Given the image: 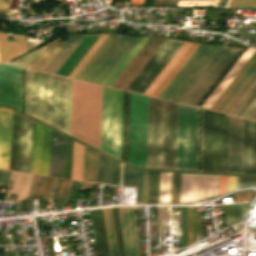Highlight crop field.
<instances>
[{"instance_id":"64","label":"crop field","mask_w":256,"mask_h":256,"mask_svg":"<svg viewBox=\"0 0 256 256\" xmlns=\"http://www.w3.org/2000/svg\"><path fill=\"white\" fill-rule=\"evenodd\" d=\"M252 44H255V45H256V39L253 40Z\"/></svg>"},{"instance_id":"18","label":"crop field","mask_w":256,"mask_h":256,"mask_svg":"<svg viewBox=\"0 0 256 256\" xmlns=\"http://www.w3.org/2000/svg\"><path fill=\"white\" fill-rule=\"evenodd\" d=\"M242 119L229 116L228 173H241Z\"/></svg>"},{"instance_id":"61","label":"crop field","mask_w":256,"mask_h":256,"mask_svg":"<svg viewBox=\"0 0 256 256\" xmlns=\"http://www.w3.org/2000/svg\"><path fill=\"white\" fill-rule=\"evenodd\" d=\"M228 0H220L217 6L225 7Z\"/></svg>"},{"instance_id":"28","label":"crop field","mask_w":256,"mask_h":256,"mask_svg":"<svg viewBox=\"0 0 256 256\" xmlns=\"http://www.w3.org/2000/svg\"><path fill=\"white\" fill-rule=\"evenodd\" d=\"M249 203L225 204L224 216L226 227L241 221V214H245Z\"/></svg>"},{"instance_id":"23","label":"crop field","mask_w":256,"mask_h":256,"mask_svg":"<svg viewBox=\"0 0 256 256\" xmlns=\"http://www.w3.org/2000/svg\"><path fill=\"white\" fill-rule=\"evenodd\" d=\"M99 36L100 35L85 36L56 73L68 76Z\"/></svg>"},{"instance_id":"21","label":"crop field","mask_w":256,"mask_h":256,"mask_svg":"<svg viewBox=\"0 0 256 256\" xmlns=\"http://www.w3.org/2000/svg\"><path fill=\"white\" fill-rule=\"evenodd\" d=\"M12 111L0 108V168L8 169Z\"/></svg>"},{"instance_id":"51","label":"crop field","mask_w":256,"mask_h":256,"mask_svg":"<svg viewBox=\"0 0 256 256\" xmlns=\"http://www.w3.org/2000/svg\"><path fill=\"white\" fill-rule=\"evenodd\" d=\"M10 173L11 172H9V171L0 170V186L8 185Z\"/></svg>"},{"instance_id":"32","label":"crop field","mask_w":256,"mask_h":256,"mask_svg":"<svg viewBox=\"0 0 256 256\" xmlns=\"http://www.w3.org/2000/svg\"><path fill=\"white\" fill-rule=\"evenodd\" d=\"M64 42L61 40H57L55 42L50 43L48 48L44 51V53L40 56L37 62L33 65V69L42 70L43 67L48 63V61L53 57V55L57 52V50L62 46ZM45 68V67H44Z\"/></svg>"},{"instance_id":"52","label":"crop field","mask_w":256,"mask_h":256,"mask_svg":"<svg viewBox=\"0 0 256 256\" xmlns=\"http://www.w3.org/2000/svg\"><path fill=\"white\" fill-rule=\"evenodd\" d=\"M12 0H0V14H7Z\"/></svg>"},{"instance_id":"49","label":"crop field","mask_w":256,"mask_h":256,"mask_svg":"<svg viewBox=\"0 0 256 256\" xmlns=\"http://www.w3.org/2000/svg\"><path fill=\"white\" fill-rule=\"evenodd\" d=\"M228 176H219L218 196L227 192Z\"/></svg>"},{"instance_id":"37","label":"crop field","mask_w":256,"mask_h":256,"mask_svg":"<svg viewBox=\"0 0 256 256\" xmlns=\"http://www.w3.org/2000/svg\"><path fill=\"white\" fill-rule=\"evenodd\" d=\"M102 211H103L105 228H106V233H107V238H108L110 255L111 256H116L113 234H112V228H111V222H110V216H109V210H108V208H105V209H102Z\"/></svg>"},{"instance_id":"46","label":"crop field","mask_w":256,"mask_h":256,"mask_svg":"<svg viewBox=\"0 0 256 256\" xmlns=\"http://www.w3.org/2000/svg\"><path fill=\"white\" fill-rule=\"evenodd\" d=\"M253 6L256 7V0H230L227 7Z\"/></svg>"},{"instance_id":"55","label":"crop field","mask_w":256,"mask_h":256,"mask_svg":"<svg viewBox=\"0 0 256 256\" xmlns=\"http://www.w3.org/2000/svg\"><path fill=\"white\" fill-rule=\"evenodd\" d=\"M236 177H229L228 192L235 189Z\"/></svg>"},{"instance_id":"19","label":"crop field","mask_w":256,"mask_h":256,"mask_svg":"<svg viewBox=\"0 0 256 256\" xmlns=\"http://www.w3.org/2000/svg\"><path fill=\"white\" fill-rule=\"evenodd\" d=\"M242 173L256 174V122L243 119Z\"/></svg>"},{"instance_id":"62","label":"crop field","mask_w":256,"mask_h":256,"mask_svg":"<svg viewBox=\"0 0 256 256\" xmlns=\"http://www.w3.org/2000/svg\"><path fill=\"white\" fill-rule=\"evenodd\" d=\"M249 118L256 120V109H255L254 112L250 115Z\"/></svg>"},{"instance_id":"4","label":"crop field","mask_w":256,"mask_h":256,"mask_svg":"<svg viewBox=\"0 0 256 256\" xmlns=\"http://www.w3.org/2000/svg\"><path fill=\"white\" fill-rule=\"evenodd\" d=\"M228 116L203 110L201 171L227 173Z\"/></svg>"},{"instance_id":"2","label":"crop field","mask_w":256,"mask_h":256,"mask_svg":"<svg viewBox=\"0 0 256 256\" xmlns=\"http://www.w3.org/2000/svg\"><path fill=\"white\" fill-rule=\"evenodd\" d=\"M65 78L26 69L25 112L64 131Z\"/></svg>"},{"instance_id":"47","label":"crop field","mask_w":256,"mask_h":256,"mask_svg":"<svg viewBox=\"0 0 256 256\" xmlns=\"http://www.w3.org/2000/svg\"><path fill=\"white\" fill-rule=\"evenodd\" d=\"M143 171L138 170L136 203H141Z\"/></svg>"},{"instance_id":"6","label":"crop field","mask_w":256,"mask_h":256,"mask_svg":"<svg viewBox=\"0 0 256 256\" xmlns=\"http://www.w3.org/2000/svg\"><path fill=\"white\" fill-rule=\"evenodd\" d=\"M128 110L126 109L125 163L128 146ZM148 97L130 93L128 164L146 167Z\"/></svg>"},{"instance_id":"58","label":"crop field","mask_w":256,"mask_h":256,"mask_svg":"<svg viewBox=\"0 0 256 256\" xmlns=\"http://www.w3.org/2000/svg\"><path fill=\"white\" fill-rule=\"evenodd\" d=\"M109 210H110V216H111V222H112V228H113V234H114V240H115L116 252H117V256H118V250H117V244H116V237H115V230H114V224H113V217H112V211H111V208H109Z\"/></svg>"},{"instance_id":"13","label":"crop field","mask_w":256,"mask_h":256,"mask_svg":"<svg viewBox=\"0 0 256 256\" xmlns=\"http://www.w3.org/2000/svg\"><path fill=\"white\" fill-rule=\"evenodd\" d=\"M217 185L218 177L181 174L179 201H196L214 196L217 194Z\"/></svg>"},{"instance_id":"39","label":"crop field","mask_w":256,"mask_h":256,"mask_svg":"<svg viewBox=\"0 0 256 256\" xmlns=\"http://www.w3.org/2000/svg\"><path fill=\"white\" fill-rule=\"evenodd\" d=\"M71 182L72 181H69V180H62L55 211H60L62 209L63 203H66Z\"/></svg>"},{"instance_id":"25","label":"crop field","mask_w":256,"mask_h":256,"mask_svg":"<svg viewBox=\"0 0 256 256\" xmlns=\"http://www.w3.org/2000/svg\"><path fill=\"white\" fill-rule=\"evenodd\" d=\"M248 47H250V46H248ZM247 47V48H248ZM251 48H253V47H251ZM256 49V48H255ZM246 51V50H245ZM244 51V52H245ZM254 49H250V48H248L247 49V51L243 54V56L239 59V61L235 64V66L231 69V71L227 74V76L224 78V80L220 83V85L216 88V90L212 93V95L208 98V100L204 103V107H208V108H210L211 107V105L215 102V100L219 97V95L223 92V90L227 87V85L231 82V80L234 78V76L238 73V71L242 68V66L246 63V61L250 58V56L254 53ZM203 108V107H202Z\"/></svg>"},{"instance_id":"11","label":"crop field","mask_w":256,"mask_h":256,"mask_svg":"<svg viewBox=\"0 0 256 256\" xmlns=\"http://www.w3.org/2000/svg\"><path fill=\"white\" fill-rule=\"evenodd\" d=\"M256 81V52L212 106V110L230 114Z\"/></svg>"},{"instance_id":"41","label":"crop field","mask_w":256,"mask_h":256,"mask_svg":"<svg viewBox=\"0 0 256 256\" xmlns=\"http://www.w3.org/2000/svg\"><path fill=\"white\" fill-rule=\"evenodd\" d=\"M112 211H113V217H114L119 256H124L117 207L112 208Z\"/></svg>"},{"instance_id":"43","label":"crop field","mask_w":256,"mask_h":256,"mask_svg":"<svg viewBox=\"0 0 256 256\" xmlns=\"http://www.w3.org/2000/svg\"><path fill=\"white\" fill-rule=\"evenodd\" d=\"M121 164L112 160L111 184H119Z\"/></svg>"},{"instance_id":"5","label":"crop field","mask_w":256,"mask_h":256,"mask_svg":"<svg viewBox=\"0 0 256 256\" xmlns=\"http://www.w3.org/2000/svg\"><path fill=\"white\" fill-rule=\"evenodd\" d=\"M139 39L109 35L76 78L104 85Z\"/></svg>"},{"instance_id":"63","label":"crop field","mask_w":256,"mask_h":256,"mask_svg":"<svg viewBox=\"0 0 256 256\" xmlns=\"http://www.w3.org/2000/svg\"><path fill=\"white\" fill-rule=\"evenodd\" d=\"M163 0H154L152 4H161Z\"/></svg>"},{"instance_id":"12","label":"crop field","mask_w":256,"mask_h":256,"mask_svg":"<svg viewBox=\"0 0 256 256\" xmlns=\"http://www.w3.org/2000/svg\"><path fill=\"white\" fill-rule=\"evenodd\" d=\"M182 43V41L166 39L126 90L143 94Z\"/></svg>"},{"instance_id":"14","label":"crop field","mask_w":256,"mask_h":256,"mask_svg":"<svg viewBox=\"0 0 256 256\" xmlns=\"http://www.w3.org/2000/svg\"><path fill=\"white\" fill-rule=\"evenodd\" d=\"M22 68L0 65V104L21 110Z\"/></svg>"},{"instance_id":"56","label":"crop field","mask_w":256,"mask_h":256,"mask_svg":"<svg viewBox=\"0 0 256 256\" xmlns=\"http://www.w3.org/2000/svg\"><path fill=\"white\" fill-rule=\"evenodd\" d=\"M94 184L82 182L80 191L91 189Z\"/></svg>"},{"instance_id":"50","label":"crop field","mask_w":256,"mask_h":256,"mask_svg":"<svg viewBox=\"0 0 256 256\" xmlns=\"http://www.w3.org/2000/svg\"><path fill=\"white\" fill-rule=\"evenodd\" d=\"M137 170L128 168V182L127 186H136Z\"/></svg>"},{"instance_id":"60","label":"crop field","mask_w":256,"mask_h":256,"mask_svg":"<svg viewBox=\"0 0 256 256\" xmlns=\"http://www.w3.org/2000/svg\"><path fill=\"white\" fill-rule=\"evenodd\" d=\"M144 0H131V5H142Z\"/></svg>"},{"instance_id":"8","label":"crop field","mask_w":256,"mask_h":256,"mask_svg":"<svg viewBox=\"0 0 256 256\" xmlns=\"http://www.w3.org/2000/svg\"><path fill=\"white\" fill-rule=\"evenodd\" d=\"M105 88L102 103L101 149L121 159L123 93L119 92L120 90Z\"/></svg>"},{"instance_id":"24","label":"crop field","mask_w":256,"mask_h":256,"mask_svg":"<svg viewBox=\"0 0 256 256\" xmlns=\"http://www.w3.org/2000/svg\"><path fill=\"white\" fill-rule=\"evenodd\" d=\"M26 50L25 37L15 35V41H7L6 34L0 33V63H6Z\"/></svg>"},{"instance_id":"27","label":"crop field","mask_w":256,"mask_h":256,"mask_svg":"<svg viewBox=\"0 0 256 256\" xmlns=\"http://www.w3.org/2000/svg\"><path fill=\"white\" fill-rule=\"evenodd\" d=\"M98 153L85 147L82 180L96 182Z\"/></svg>"},{"instance_id":"29","label":"crop field","mask_w":256,"mask_h":256,"mask_svg":"<svg viewBox=\"0 0 256 256\" xmlns=\"http://www.w3.org/2000/svg\"><path fill=\"white\" fill-rule=\"evenodd\" d=\"M84 146L74 141L71 178L81 180Z\"/></svg>"},{"instance_id":"34","label":"crop field","mask_w":256,"mask_h":256,"mask_svg":"<svg viewBox=\"0 0 256 256\" xmlns=\"http://www.w3.org/2000/svg\"><path fill=\"white\" fill-rule=\"evenodd\" d=\"M255 97H256V82L250 88V90L246 93L243 99L239 102V104L235 107L232 113L231 112L230 113L232 115L241 116L242 113L246 110V108L250 105V103L254 100Z\"/></svg>"},{"instance_id":"31","label":"crop field","mask_w":256,"mask_h":256,"mask_svg":"<svg viewBox=\"0 0 256 256\" xmlns=\"http://www.w3.org/2000/svg\"><path fill=\"white\" fill-rule=\"evenodd\" d=\"M111 159L99 154L97 182L110 184Z\"/></svg>"},{"instance_id":"30","label":"crop field","mask_w":256,"mask_h":256,"mask_svg":"<svg viewBox=\"0 0 256 256\" xmlns=\"http://www.w3.org/2000/svg\"><path fill=\"white\" fill-rule=\"evenodd\" d=\"M159 172L148 171L146 203L158 202Z\"/></svg>"},{"instance_id":"44","label":"crop field","mask_w":256,"mask_h":256,"mask_svg":"<svg viewBox=\"0 0 256 256\" xmlns=\"http://www.w3.org/2000/svg\"><path fill=\"white\" fill-rule=\"evenodd\" d=\"M47 177L37 176L33 194L42 195Z\"/></svg>"},{"instance_id":"16","label":"crop field","mask_w":256,"mask_h":256,"mask_svg":"<svg viewBox=\"0 0 256 256\" xmlns=\"http://www.w3.org/2000/svg\"><path fill=\"white\" fill-rule=\"evenodd\" d=\"M164 40L165 39L163 38H149L122 73L113 82L111 87L125 90Z\"/></svg>"},{"instance_id":"48","label":"crop field","mask_w":256,"mask_h":256,"mask_svg":"<svg viewBox=\"0 0 256 256\" xmlns=\"http://www.w3.org/2000/svg\"><path fill=\"white\" fill-rule=\"evenodd\" d=\"M190 215H191V244H192V243H195V236H196V219H195L194 207H190Z\"/></svg>"},{"instance_id":"53","label":"crop field","mask_w":256,"mask_h":256,"mask_svg":"<svg viewBox=\"0 0 256 256\" xmlns=\"http://www.w3.org/2000/svg\"><path fill=\"white\" fill-rule=\"evenodd\" d=\"M256 108V98L255 100L251 103V105L247 108V110L243 113L242 117L248 118L249 115L253 112V110Z\"/></svg>"},{"instance_id":"36","label":"crop field","mask_w":256,"mask_h":256,"mask_svg":"<svg viewBox=\"0 0 256 256\" xmlns=\"http://www.w3.org/2000/svg\"><path fill=\"white\" fill-rule=\"evenodd\" d=\"M147 39H140V41L136 44V46L132 49L129 55L125 58V60L121 63V65L117 68V70L113 73L110 79L106 82V84L111 85V83L116 79V77L120 74V72L125 68V66L129 63V61L133 58V56L137 53V51L142 47V45L146 42ZM105 84V85H106ZM107 85V86H109Z\"/></svg>"},{"instance_id":"20","label":"crop field","mask_w":256,"mask_h":256,"mask_svg":"<svg viewBox=\"0 0 256 256\" xmlns=\"http://www.w3.org/2000/svg\"><path fill=\"white\" fill-rule=\"evenodd\" d=\"M66 138L51 131L48 175L63 178Z\"/></svg>"},{"instance_id":"7","label":"crop field","mask_w":256,"mask_h":256,"mask_svg":"<svg viewBox=\"0 0 256 256\" xmlns=\"http://www.w3.org/2000/svg\"><path fill=\"white\" fill-rule=\"evenodd\" d=\"M199 109L177 104L175 169L197 171Z\"/></svg>"},{"instance_id":"45","label":"crop field","mask_w":256,"mask_h":256,"mask_svg":"<svg viewBox=\"0 0 256 256\" xmlns=\"http://www.w3.org/2000/svg\"><path fill=\"white\" fill-rule=\"evenodd\" d=\"M180 173H174L172 203H178Z\"/></svg>"},{"instance_id":"26","label":"crop field","mask_w":256,"mask_h":256,"mask_svg":"<svg viewBox=\"0 0 256 256\" xmlns=\"http://www.w3.org/2000/svg\"><path fill=\"white\" fill-rule=\"evenodd\" d=\"M84 36H72L64 43L54 57L43 69L44 71L55 73L56 70L61 66L69 54L74 50L78 43L83 39Z\"/></svg>"},{"instance_id":"22","label":"crop field","mask_w":256,"mask_h":256,"mask_svg":"<svg viewBox=\"0 0 256 256\" xmlns=\"http://www.w3.org/2000/svg\"><path fill=\"white\" fill-rule=\"evenodd\" d=\"M98 256H110L101 209L89 211Z\"/></svg>"},{"instance_id":"59","label":"crop field","mask_w":256,"mask_h":256,"mask_svg":"<svg viewBox=\"0 0 256 256\" xmlns=\"http://www.w3.org/2000/svg\"><path fill=\"white\" fill-rule=\"evenodd\" d=\"M178 0H164L162 4L176 5Z\"/></svg>"},{"instance_id":"35","label":"crop field","mask_w":256,"mask_h":256,"mask_svg":"<svg viewBox=\"0 0 256 256\" xmlns=\"http://www.w3.org/2000/svg\"><path fill=\"white\" fill-rule=\"evenodd\" d=\"M108 35H101L100 38L96 41V43L91 47V49L87 52V54L83 57V59L79 62V64L74 68V70L70 73L69 77L75 78L76 75L80 72V70L84 67V65L88 62L91 56L95 53V51L99 48V46L103 43V41L107 38Z\"/></svg>"},{"instance_id":"15","label":"crop field","mask_w":256,"mask_h":256,"mask_svg":"<svg viewBox=\"0 0 256 256\" xmlns=\"http://www.w3.org/2000/svg\"><path fill=\"white\" fill-rule=\"evenodd\" d=\"M198 45L184 42L144 94L158 97Z\"/></svg>"},{"instance_id":"42","label":"crop field","mask_w":256,"mask_h":256,"mask_svg":"<svg viewBox=\"0 0 256 256\" xmlns=\"http://www.w3.org/2000/svg\"><path fill=\"white\" fill-rule=\"evenodd\" d=\"M256 187V178L237 177L236 189Z\"/></svg>"},{"instance_id":"40","label":"crop field","mask_w":256,"mask_h":256,"mask_svg":"<svg viewBox=\"0 0 256 256\" xmlns=\"http://www.w3.org/2000/svg\"><path fill=\"white\" fill-rule=\"evenodd\" d=\"M71 79L66 78L65 133L69 134Z\"/></svg>"},{"instance_id":"9","label":"crop field","mask_w":256,"mask_h":256,"mask_svg":"<svg viewBox=\"0 0 256 256\" xmlns=\"http://www.w3.org/2000/svg\"><path fill=\"white\" fill-rule=\"evenodd\" d=\"M219 48L200 44L159 97L178 102Z\"/></svg>"},{"instance_id":"57","label":"crop field","mask_w":256,"mask_h":256,"mask_svg":"<svg viewBox=\"0 0 256 256\" xmlns=\"http://www.w3.org/2000/svg\"><path fill=\"white\" fill-rule=\"evenodd\" d=\"M127 167L123 166L122 185L126 186Z\"/></svg>"},{"instance_id":"10","label":"crop field","mask_w":256,"mask_h":256,"mask_svg":"<svg viewBox=\"0 0 256 256\" xmlns=\"http://www.w3.org/2000/svg\"><path fill=\"white\" fill-rule=\"evenodd\" d=\"M240 51L221 47L179 102L196 106Z\"/></svg>"},{"instance_id":"33","label":"crop field","mask_w":256,"mask_h":256,"mask_svg":"<svg viewBox=\"0 0 256 256\" xmlns=\"http://www.w3.org/2000/svg\"><path fill=\"white\" fill-rule=\"evenodd\" d=\"M166 173H169V172H166ZM172 180H173V173H172ZM170 181H171V174L160 173L159 202H169ZM171 196H172V181H171L170 203H171Z\"/></svg>"},{"instance_id":"38","label":"crop field","mask_w":256,"mask_h":256,"mask_svg":"<svg viewBox=\"0 0 256 256\" xmlns=\"http://www.w3.org/2000/svg\"><path fill=\"white\" fill-rule=\"evenodd\" d=\"M47 46H44L16 61L13 62V64H17V65H21V66H25V67H29L31 68L32 65L35 63V61L38 59V57L41 55V53L44 51V49Z\"/></svg>"},{"instance_id":"54","label":"crop field","mask_w":256,"mask_h":256,"mask_svg":"<svg viewBox=\"0 0 256 256\" xmlns=\"http://www.w3.org/2000/svg\"><path fill=\"white\" fill-rule=\"evenodd\" d=\"M147 171H144L142 203H145Z\"/></svg>"},{"instance_id":"1","label":"crop field","mask_w":256,"mask_h":256,"mask_svg":"<svg viewBox=\"0 0 256 256\" xmlns=\"http://www.w3.org/2000/svg\"><path fill=\"white\" fill-rule=\"evenodd\" d=\"M33 121L14 112L9 169L29 172ZM50 129L34 122L30 172L47 175Z\"/></svg>"},{"instance_id":"3","label":"crop field","mask_w":256,"mask_h":256,"mask_svg":"<svg viewBox=\"0 0 256 256\" xmlns=\"http://www.w3.org/2000/svg\"><path fill=\"white\" fill-rule=\"evenodd\" d=\"M176 104L150 98L147 167L174 169Z\"/></svg>"},{"instance_id":"17","label":"crop field","mask_w":256,"mask_h":256,"mask_svg":"<svg viewBox=\"0 0 256 256\" xmlns=\"http://www.w3.org/2000/svg\"><path fill=\"white\" fill-rule=\"evenodd\" d=\"M125 256H138L135 207H118Z\"/></svg>"}]
</instances>
